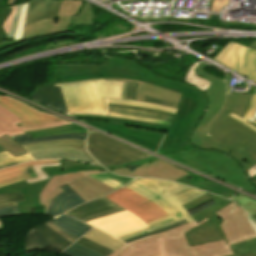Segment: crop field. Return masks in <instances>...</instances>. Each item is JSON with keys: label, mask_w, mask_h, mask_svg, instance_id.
<instances>
[{"label": "crop field", "mask_w": 256, "mask_h": 256, "mask_svg": "<svg viewBox=\"0 0 256 256\" xmlns=\"http://www.w3.org/2000/svg\"><path fill=\"white\" fill-rule=\"evenodd\" d=\"M52 165H60V163H53V164H41V165H35L32 166V169L34 170L35 174L38 178L27 180V184L35 183L39 181H43L49 178V176L41 169L42 167L52 166Z\"/></svg>", "instance_id": "d23c7cc5"}, {"label": "crop field", "mask_w": 256, "mask_h": 256, "mask_svg": "<svg viewBox=\"0 0 256 256\" xmlns=\"http://www.w3.org/2000/svg\"><path fill=\"white\" fill-rule=\"evenodd\" d=\"M105 197L136 214L146 224L168 216L161 207L150 202L143 196L127 189L125 186Z\"/></svg>", "instance_id": "22f410ed"}, {"label": "crop field", "mask_w": 256, "mask_h": 256, "mask_svg": "<svg viewBox=\"0 0 256 256\" xmlns=\"http://www.w3.org/2000/svg\"><path fill=\"white\" fill-rule=\"evenodd\" d=\"M24 161H32V159L28 154L14 158L7 151L0 153V168L19 164Z\"/></svg>", "instance_id": "0bd39190"}, {"label": "crop field", "mask_w": 256, "mask_h": 256, "mask_svg": "<svg viewBox=\"0 0 256 256\" xmlns=\"http://www.w3.org/2000/svg\"><path fill=\"white\" fill-rule=\"evenodd\" d=\"M256 118V113L251 117V119L249 121H253Z\"/></svg>", "instance_id": "0f1d7ab4"}, {"label": "crop field", "mask_w": 256, "mask_h": 256, "mask_svg": "<svg viewBox=\"0 0 256 256\" xmlns=\"http://www.w3.org/2000/svg\"><path fill=\"white\" fill-rule=\"evenodd\" d=\"M190 174L195 176V177H197L199 180H196V181H194V182H192V183H190L188 185L194 186V187H198V188L205 186L204 183H203L204 181H206L205 179H203V178H201V177H199V176H197L195 174H192V173H190Z\"/></svg>", "instance_id": "9d1cf04e"}, {"label": "crop field", "mask_w": 256, "mask_h": 256, "mask_svg": "<svg viewBox=\"0 0 256 256\" xmlns=\"http://www.w3.org/2000/svg\"><path fill=\"white\" fill-rule=\"evenodd\" d=\"M91 177L99 181L105 182L115 187L116 189L134 179V178H125V177L116 176L112 173L91 175Z\"/></svg>", "instance_id": "120bbe31"}, {"label": "crop field", "mask_w": 256, "mask_h": 256, "mask_svg": "<svg viewBox=\"0 0 256 256\" xmlns=\"http://www.w3.org/2000/svg\"><path fill=\"white\" fill-rule=\"evenodd\" d=\"M125 186L155 202L170 216L148 224L147 229L118 237L122 240L152 232L184 219L188 222L194 221L182 205L207 193L179 183L156 179L137 178Z\"/></svg>", "instance_id": "f4fd0767"}, {"label": "crop field", "mask_w": 256, "mask_h": 256, "mask_svg": "<svg viewBox=\"0 0 256 256\" xmlns=\"http://www.w3.org/2000/svg\"><path fill=\"white\" fill-rule=\"evenodd\" d=\"M2 151H5V150L0 146V152H2Z\"/></svg>", "instance_id": "ae633e8c"}, {"label": "crop field", "mask_w": 256, "mask_h": 256, "mask_svg": "<svg viewBox=\"0 0 256 256\" xmlns=\"http://www.w3.org/2000/svg\"><path fill=\"white\" fill-rule=\"evenodd\" d=\"M23 148L33 159L62 158L98 164L87 154L85 142L82 141H55Z\"/></svg>", "instance_id": "d1516ede"}, {"label": "crop field", "mask_w": 256, "mask_h": 256, "mask_svg": "<svg viewBox=\"0 0 256 256\" xmlns=\"http://www.w3.org/2000/svg\"><path fill=\"white\" fill-rule=\"evenodd\" d=\"M110 171L113 173L122 174L126 176L151 177V178L166 179L170 181H174L188 174L186 171L176 166H173L169 163H166L162 160H159L153 163H148L132 172L128 168L114 169Z\"/></svg>", "instance_id": "bc2a9ffb"}, {"label": "crop field", "mask_w": 256, "mask_h": 256, "mask_svg": "<svg viewBox=\"0 0 256 256\" xmlns=\"http://www.w3.org/2000/svg\"><path fill=\"white\" fill-rule=\"evenodd\" d=\"M84 237L91 239L95 242H98L114 251H116L121 245L124 244L117 240L116 238L109 236L94 228L91 231H89L86 235H84Z\"/></svg>", "instance_id": "750c4746"}, {"label": "crop field", "mask_w": 256, "mask_h": 256, "mask_svg": "<svg viewBox=\"0 0 256 256\" xmlns=\"http://www.w3.org/2000/svg\"><path fill=\"white\" fill-rule=\"evenodd\" d=\"M50 179L27 185L25 181L0 188L1 193L23 192L25 202L17 203L20 208L45 205V214L56 194L63 191L59 186L68 183L73 190L85 201L104 196L116 189L92 179L87 175L107 173L99 166L61 160V166L42 168Z\"/></svg>", "instance_id": "34b2d1b8"}, {"label": "crop field", "mask_w": 256, "mask_h": 256, "mask_svg": "<svg viewBox=\"0 0 256 256\" xmlns=\"http://www.w3.org/2000/svg\"><path fill=\"white\" fill-rule=\"evenodd\" d=\"M70 243L45 223L28 231L24 239L25 252L32 250H45L49 245L63 251Z\"/></svg>", "instance_id": "733c2abd"}, {"label": "crop field", "mask_w": 256, "mask_h": 256, "mask_svg": "<svg viewBox=\"0 0 256 256\" xmlns=\"http://www.w3.org/2000/svg\"><path fill=\"white\" fill-rule=\"evenodd\" d=\"M185 223H187L186 220L181 221V222H178V223H175V224H173V225L167 226V227H165V228H162V229H160V230L154 231V232H152V233H149V234H146V235H143V236L131 238V239H129V240H126L125 242L128 243V242H130V241H134V240H137V239H139V238L148 237V236H150V235L157 234V233H160V232H162V231H167V230H170V229H172V228L178 227V226H180V225H182V224H185Z\"/></svg>", "instance_id": "1f2cbd36"}, {"label": "crop field", "mask_w": 256, "mask_h": 256, "mask_svg": "<svg viewBox=\"0 0 256 256\" xmlns=\"http://www.w3.org/2000/svg\"><path fill=\"white\" fill-rule=\"evenodd\" d=\"M214 60L256 82V50L228 43Z\"/></svg>", "instance_id": "cbeb9de0"}, {"label": "crop field", "mask_w": 256, "mask_h": 256, "mask_svg": "<svg viewBox=\"0 0 256 256\" xmlns=\"http://www.w3.org/2000/svg\"><path fill=\"white\" fill-rule=\"evenodd\" d=\"M86 149L102 165H115L151 156L91 130Z\"/></svg>", "instance_id": "28ad6ade"}, {"label": "crop field", "mask_w": 256, "mask_h": 256, "mask_svg": "<svg viewBox=\"0 0 256 256\" xmlns=\"http://www.w3.org/2000/svg\"><path fill=\"white\" fill-rule=\"evenodd\" d=\"M15 205H17V204H16V203L2 204V205H0V208H2V207H8V206H15Z\"/></svg>", "instance_id": "7b73153f"}, {"label": "crop field", "mask_w": 256, "mask_h": 256, "mask_svg": "<svg viewBox=\"0 0 256 256\" xmlns=\"http://www.w3.org/2000/svg\"><path fill=\"white\" fill-rule=\"evenodd\" d=\"M20 214L17 206L0 209V217Z\"/></svg>", "instance_id": "1d79db26"}, {"label": "crop field", "mask_w": 256, "mask_h": 256, "mask_svg": "<svg viewBox=\"0 0 256 256\" xmlns=\"http://www.w3.org/2000/svg\"><path fill=\"white\" fill-rule=\"evenodd\" d=\"M217 214L224 222L220 224L227 241L188 246L183 234L204 222H190L178 228L165 232L168 256H227L233 254L229 245L256 237L249 226L246 212L234 202L218 211Z\"/></svg>", "instance_id": "412701ff"}, {"label": "crop field", "mask_w": 256, "mask_h": 256, "mask_svg": "<svg viewBox=\"0 0 256 256\" xmlns=\"http://www.w3.org/2000/svg\"><path fill=\"white\" fill-rule=\"evenodd\" d=\"M51 222L76 240L92 228L64 214L51 220Z\"/></svg>", "instance_id": "ae1a2a85"}, {"label": "crop field", "mask_w": 256, "mask_h": 256, "mask_svg": "<svg viewBox=\"0 0 256 256\" xmlns=\"http://www.w3.org/2000/svg\"><path fill=\"white\" fill-rule=\"evenodd\" d=\"M28 3L29 2L23 3L22 6H21V10H20V14H19V18H18L16 31H15V35H14L13 40H17L21 37L22 31H23V28H24V24H25V18H26Z\"/></svg>", "instance_id": "b54c1fbb"}, {"label": "crop field", "mask_w": 256, "mask_h": 256, "mask_svg": "<svg viewBox=\"0 0 256 256\" xmlns=\"http://www.w3.org/2000/svg\"><path fill=\"white\" fill-rule=\"evenodd\" d=\"M32 97L36 101L43 102L64 113H68L59 87H55L54 85L38 87L36 92L32 94Z\"/></svg>", "instance_id": "730fd06b"}, {"label": "crop field", "mask_w": 256, "mask_h": 256, "mask_svg": "<svg viewBox=\"0 0 256 256\" xmlns=\"http://www.w3.org/2000/svg\"><path fill=\"white\" fill-rule=\"evenodd\" d=\"M96 78H131L182 93L177 113L157 153L165 156L169 152L194 148L188 137L204 113L207 98L192 86L166 81L137 63L118 57H110L104 66L55 65L54 83L44 85Z\"/></svg>", "instance_id": "8a807250"}, {"label": "crop field", "mask_w": 256, "mask_h": 256, "mask_svg": "<svg viewBox=\"0 0 256 256\" xmlns=\"http://www.w3.org/2000/svg\"><path fill=\"white\" fill-rule=\"evenodd\" d=\"M126 83L103 79L57 84L60 86L69 112L106 114L105 97L123 99Z\"/></svg>", "instance_id": "e52e79f7"}, {"label": "crop field", "mask_w": 256, "mask_h": 256, "mask_svg": "<svg viewBox=\"0 0 256 256\" xmlns=\"http://www.w3.org/2000/svg\"><path fill=\"white\" fill-rule=\"evenodd\" d=\"M27 133H31L32 137L35 138V137H41V136H47V135H53V134H59V133H87V129L75 124H70V125H64L60 127L47 129V130L31 131Z\"/></svg>", "instance_id": "bd1437ed"}, {"label": "crop field", "mask_w": 256, "mask_h": 256, "mask_svg": "<svg viewBox=\"0 0 256 256\" xmlns=\"http://www.w3.org/2000/svg\"><path fill=\"white\" fill-rule=\"evenodd\" d=\"M205 185L206 186L201 188V190L212 192V193H215V194L227 197V198H230L234 194V192H232L226 188H223L213 182L207 181V182H205Z\"/></svg>", "instance_id": "c21b1889"}, {"label": "crop field", "mask_w": 256, "mask_h": 256, "mask_svg": "<svg viewBox=\"0 0 256 256\" xmlns=\"http://www.w3.org/2000/svg\"><path fill=\"white\" fill-rule=\"evenodd\" d=\"M63 254L67 256H104L94 250H91L77 242L70 246Z\"/></svg>", "instance_id": "5866460e"}, {"label": "crop field", "mask_w": 256, "mask_h": 256, "mask_svg": "<svg viewBox=\"0 0 256 256\" xmlns=\"http://www.w3.org/2000/svg\"><path fill=\"white\" fill-rule=\"evenodd\" d=\"M77 242H79V243H81V244H83V245H85L89 248H92V249H94V250H96V251H98V252H100V253H102L106 256H108V255H110L111 253L114 252V251L109 250V249H107V248H105V247H103V246H101V245H99V244H97V243H95L91 240H88L84 237L80 238Z\"/></svg>", "instance_id": "425ffa30"}, {"label": "crop field", "mask_w": 256, "mask_h": 256, "mask_svg": "<svg viewBox=\"0 0 256 256\" xmlns=\"http://www.w3.org/2000/svg\"><path fill=\"white\" fill-rule=\"evenodd\" d=\"M234 255L256 252V238L230 246Z\"/></svg>", "instance_id": "e1f06a70"}, {"label": "crop field", "mask_w": 256, "mask_h": 256, "mask_svg": "<svg viewBox=\"0 0 256 256\" xmlns=\"http://www.w3.org/2000/svg\"><path fill=\"white\" fill-rule=\"evenodd\" d=\"M49 226H51L53 229H55L57 232H59L61 235H63L65 238H67L69 241H71L72 243L75 242L76 240H74L73 238H71L70 236H68L67 234H65L64 232H62L60 229H58L56 226H54L50 221L46 222Z\"/></svg>", "instance_id": "447ae74e"}, {"label": "crop field", "mask_w": 256, "mask_h": 256, "mask_svg": "<svg viewBox=\"0 0 256 256\" xmlns=\"http://www.w3.org/2000/svg\"><path fill=\"white\" fill-rule=\"evenodd\" d=\"M87 223L115 237L147 228L140 218L128 211Z\"/></svg>", "instance_id": "d9b57169"}, {"label": "crop field", "mask_w": 256, "mask_h": 256, "mask_svg": "<svg viewBox=\"0 0 256 256\" xmlns=\"http://www.w3.org/2000/svg\"><path fill=\"white\" fill-rule=\"evenodd\" d=\"M23 200L22 193H12V194H1L0 195V204L1 203H10V202H20Z\"/></svg>", "instance_id": "25e5ab78"}, {"label": "crop field", "mask_w": 256, "mask_h": 256, "mask_svg": "<svg viewBox=\"0 0 256 256\" xmlns=\"http://www.w3.org/2000/svg\"><path fill=\"white\" fill-rule=\"evenodd\" d=\"M69 115H94V114H69ZM102 116V115H95ZM108 116L128 120L151 122L170 125L173 113L137 106H127L108 103Z\"/></svg>", "instance_id": "5142ce71"}, {"label": "crop field", "mask_w": 256, "mask_h": 256, "mask_svg": "<svg viewBox=\"0 0 256 256\" xmlns=\"http://www.w3.org/2000/svg\"><path fill=\"white\" fill-rule=\"evenodd\" d=\"M205 66L201 63L195 71L213 82L205 93L210 106L195 128L191 142L200 148L223 150L247 170L256 164V132L227 114L232 111L243 117L251 96L229 93L231 76L225 74L222 81L203 72Z\"/></svg>", "instance_id": "ac0d7876"}, {"label": "crop field", "mask_w": 256, "mask_h": 256, "mask_svg": "<svg viewBox=\"0 0 256 256\" xmlns=\"http://www.w3.org/2000/svg\"><path fill=\"white\" fill-rule=\"evenodd\" d=\"M108 102L112 103H120V104H128V105H137V106H145V107H150V108H155V109H160V110H165L169 112L175 113L177 109L173 108H166L154 104H147V103H139V102H132V101H125V100H118V99H107Z\"/></svg>", "instance_id": "5d738f31"}, {"label": "crop field", "mask_w": 256, "mask_h": 256, "mask_svg": "<svg viewBox=\"0 0 256 256\" xmlns=\"http://www.w3.org/2000/svg\"><path fill=\"white\" fill-rule=\"evenodd\" d=\"M61 188L64 191L56 195V197L53 199L47 213L48 215L58 216L65 213L69 209L84 203V201L72 190L68 184L61 186Z\"/></svg>", "instance_id": "a9b5d70f"}, {"label": "crop field", "mask_w": 256, "mask_h": 256, "mask_svg": "<svg viewBox=\"0 0 256 256\" xmlns=\"http://www.w3.org/2000/svg\"><path fill=\"white\" fill-rule=\"evenodd\" d=\"M84 1L63 0L60 12L55 19L42 20L24 28L21 39L3 42L2 36L13 37L20 5L4 7L5 0H0V51L21 44L30 39L64 32L69 26L71 17L79 12Z\"/></svg>", "instance_id": "dd49c442"}, {"label": "crop field", "mask_w": 256, "mask_h": 256, "mask_svg": "<svg viewBox=\"0 0 256 256\" xmlns=\"http://www.w3.org/2000/svg\"><path fill=\"white\" fill-rule=\"evenodd\" d=\"M138 84L127 83L124 99L135 100Z\"/></svg>", "instance_id": "dbb93151"}, {"label": "crop field", "mask_w": 256, "mask_h": 256, "mask_svg": "<svg viewBox=\"0 0 256 256\" xmlns=\"http://www.w3.org/2000/svg\"><path fill=\"white\" fill-rule=\"evenodd\" d=\"M235 202L240 204L247 212L251 214V216L256 215V201L240 195L238 197L232 198Z\"/></svg>", "instance_id": "c035e120"}, {"label": "crop field", "mask_w": 256, "mask_h": 256, "mask_svg": "<svg viewBox=\"0 0 256 256\" xmlns=\"http://www.w3.org/2000/svg\"><path fill=\"white\" fill-rule=\"evenodd\" d=\"M52 162H60V160H43V161H32L28 163L21 164L19 166L2 169L0 170V187L5 185L18 182L21 180H27L31 178H35L33 170L30 166L41 163H52Z\"/></svg>", "instance_id": "00972430"}, {"label": "crop field", "mask_w": 256, "mask_h": 256, "mask_svg": "<svg viewBox=\"0 0 256 256\" xmlns=\"http://www.w3.org/2000/svg\"><path fill=\"white\" fill-rule=\"evenodd\" d=\"M22 123V121L15 116L12 112L8 111L4 107L0 106V137L7 134L9 136L21 135L26 131L46 129L64 124H70L66 120L19 127L16 124Z\"/></svg>", "instance_id": "214f88e0"}, {"label": "crop field", "mask_w": 256, "mask_h": 256, "mask_svg": "<svg viewBox=\"0 0 256 256\" xmlns=\"http://www.w3.org/2000/svg\"><path fill=\"white\" fill-rule=\"evenodd\" d=\"M210 200L214 201L216 204L192 215L197 223L204 220L205 218H207L209 221L191 229L184 234L189 245L205 244L225 240L222 230L219 226L222 220L214 213L219 209L229 205V200L208 193L205 196L184 205V207L187 211H189Z\"/></svg>", "instance_id": "3316defc"}, {"label": "crop field", "mask_w": 256, "mask_h": 256, "mask_svg": "<svg viewBox=\"0 0 256 256\" xmlns=\"http://www.w3.org/2000/svg\"><path fill=\"white\" fill-rule=\"evenodd\" d=\"M166 157H168V158H170L172 160H175L177 162H180L182 164H185L187 166H190V167H192L194 169H197L199 171H202V172H204L206 174L209 173V171L207 169H205L204 167H202V166L196 164L195 162H193L192 160H190V159H188L186 157H183L181 155H178L176 153H170V154L166 155Z\"/></svg>", "instance_id": "03da06ac"}, {"label": "crop field", "mask_w": 256, "mask_h": 256, "mask_svg": "<svg viewBox=\"0 0 256 256\" xmlns=\"http://www.w3.org/2000/svg\"><path fill=\"white\" fill-rule=\"evenodd\" d=\"M156 160H159V159H157L155 157H151V158L139 160V161L132 162V163L119 164V165H115V166H104V167L107 168V169L130 167V166L139 165V164H146L148 162H153V161H156Z\"/></svg>", "instance_id": "73cf0c24"}, {"label": "crop field", "mask_w": 256, "mask_h": 256, "mask_svg": "<svg viewBox=\"0 0 256 256\" xmlns=\"http://www.w3.org/2000/svg\"><path fill=\"white\" fill-rule=\"evenodd\" d=\"M200 64V62L198 61L197 63H195L194 65H192L189 68V71L186 75L185 81L188 83L193 84L195 87L199 88L202 91H206L208 89V87L211 85V82L198 77L194 70L196 69V67Z\"/></svg>", "instance_id": "d32e631a"}, {"label": "crop field", "mask_w": 256, "mask_h": 256, "mask_svg": "<svg viewBox=\"0 0 256 256\" xmlns=\"http://www.w3.org/2000/svg\"><path fill=\"white\" fill-rule=\"evenodd\" d=\"M92 9L91 5L87 2H84V7L80 10V12L72 17L70 24L72 25H92Z\"/></svg>", "instance_id": "1d83c4d3"}, {"label": "crop field", "mask_w": 256, "mask_h": 256, "mask_svg": "<svg viewBox=\"0 0 256 256\" xmlns=\"http://www.w3.org/2000/svg\"><path fill=\"white\" fill-rule=\"evenodd\" d=\"M110 256H167L164 232L125 244Z\"/></svg>", "instance_id": "4a817a6b"}, {"label": "crop field", "mask_w": 256, "mask_h": 256, "mask_svg": "<svg viewBox=\"0 0 256 256\" xmlns=\"http://www.w3.org/2000/svg\"><path fill=\"white\" fill-rule=\"evenodd\" d=\"M254 123L256 124V121Z\"/></svg>", "instance_id": "d14b1444"}, {"label": "crop field", "mask_w": 256, "mask_h": 256, "mask_svg": "<svg viewBox=\"0 0 256 256\" xmlns=\"http://www.w3.org/2000/svg\"><path fill=\"white\" fill-rule=\"evenodd\" d=\"M255 111H256V88L254 89V94L252 96V100L249 105V108L243 118L231 112L228 115L232 116L233 118L237 119L238 121L242 122L243 124L247 125L251 129L256 131V127L247 122V120L250 119V117L255 113Z\"/></svg>", "instance_id": "b80d0937"}, {"label": "crop field", "mask_w": 256, "mask_h": 256, "mask_svg": "<svg viewBox=\"0 0 256 256\" xmlns=\"http://www.w3.org/2000/svg\"><path fill=\"white\" fill-rule=\"evenodd\" d=\"M249 47L256 49V41H253Z\"/></svg>", "instance_id": "78b8030e"}, {"label": "crop field", "mask_w": 256, "mask_h": 256, "mask_svg": "<svg viewBox=\"0 0 256 256\" xmlns=\"http://www.w3.org/2000/svg\"><path fill=\"white\" fill-rule=\"evenodd\" d=\"M248 219H249V224L250 226L255 230L256 232V222L249 216L247 215Z\"/></svg>", "instance_id": "db79e9e6"}, {"label": "crop field", "mask_w": 256, "mask_h": 256, "mask_svg": "<svg viewBox=\"0 0 256 256\" xmlns=\"http://www.w3.org/2000/svg\"><path fill=\"white\" fill-rule=\"evenodd\" d=\"M121 211H125V210L122 209L121 207H119V208L114 209V210H112L110 212H107V213H103V214H99V215H96V216L81 219V221L87 222V221L95 220V219H98V218L106 217V216H109V215H112L114 213L121 212Z\"/></svg>", "instance_id": "0fb4a251"}, {"label": "crop field", "mask_w": 256, "mask_h": 256, "mask_svg": "<svg viewBox=\"0 0 256 256\" xmlns=\"http://www.w3.org/2000/svg\"><path fill=\"white\" fill-rule=\"evenodd\" d=\"M109 200V199H108ZM105 197L88 202L84 205L78 206L75 209L67 212L66 214L71 215L77 219L96 215L99 213L110 211L114 208L119 207L118 205L108 201Z\"/></svg>", "instance_id": "eef30255"}, {"label": "crop field", "mask_w": 256, "mask_h": 256, "mask_svg": "<svg viewBox=\"0 0 256 256\" xmlns=\"http://www.w3.org/2000/svg\"><path fill=\"white\" fill-rule=\"evenodd\" d=\"M74 117L110 119V123L96 122V121H89V120H81V121L154 152L159 146L165 133H167V129L169 127L166 125L113 119L109 117H95V116H74Z\"/></svg>", "instance_id": "d8731c3e"}, {"label": "crop field", "mask_w": 256, "mask_h": 256, "mask_svg": "<svg viewBox=\"0 0 256 256\" xmlns=\"http://www.w3.org/2000/svg\"><path fill=\"white\" fill-rule=\"evenodd\" d=\"M177 153L186 156L207 168L212 172L208 175L224 180L256 194V188L251 185L243 173L241 166L222 152L203 151L195 148Z\"/></svg>", "instance_id": "5a996713"}, {"label": "crop field", "mask_w": 256, "mask_h": 256, "mask_svg": "<svg viewBox=\"0 0 256 256\" xmlns=\"http://www.w3.org/2000/svg\"><path fill=\"white\" fill-rule=\"evenodd\" d=\"M246 172H247V174H248L250 180H252L251 178L256 175V165H254L252 168H250V169H249L248 171H246Z\"/></svg>", "instance_id": "0765c3eb"}, {"label": "crop field", "mask_w": 256, "mask_h": 256, "mask_svg": "<svg viewBox=\"0 0 256 256\" xmlns=\"http://www.w3.org/2000/svg\"><path fill=\"white\" fill-rule=\"evenodd\" d=\"M231 256H233V255H231ZM242 256H256V253L248 254V255H242Z\"/></svg>", "instance_id": "e1d0b9f6"}, {"label": "crop field", "mask_w": 256, "mask_h": 256, "mask_svg": "<svg viewBox=\"0 0 256 256\" xmlns=\"http://www.w3.org/2000/svg\"><path fill=\"white\" fill-rule=\"evenodd\" d=\"M143 102L154 103V104H158V105H162V106H166V107H173V108L178 107L177 103L164 101V100H160V99H155V98H151V97H147V96L144 97Z\"/></svg>", "instance_id": "89e229c0"}, {"label": "crop field", "mask_w": 256, "mask_h": 256, "mask_svg": "<svg viewBox=\"0 0 256 256\" xmlns=\"http://www.w3.org/2000/svg\"><path fill=\"white\" fill-rule=\"evenodd\" d=\"M0 145L14 157L26 154V151L7 135L0 138Z\"/></svg>", "instance_id": "028f5c9d"}, {"label": "crop field", "mask_w": 256, "mask_h": 256, "mask_svg": "<svg viewBox=\"0 0 256 256\" xmlns=\"http://www.w3.org/2000/svg\"><path fill=\"white\" fill-rule=\"evenodd\" d=\"M87 134H60L32 139L31 135L13 136L12 138L21 146L35 143H42L55 140H82L86 141Z\"/></svg>", "instance_id": "d3111659"}, {"label": "crop field", "mask_w": 256, "mask_h": 256, "mask_svg": "<svg viewBox=\"0 0 256 256\" xmlns=\"http://www.w3.org/2000/svg\"><path fill=\"white\" fill-rule=\"evenodd\" d=\"M109 81L139 83L136 101L142 102L144 95L179 103L181 94L131 79H104Z\"/></svg>", "instance_id": "4177f3b9"}, {"label": "crop field", "mask_w": 256, "mask_h": 256, "mask_svg": "<svg viewBox=\"0 0 256 256\" xmlns=\"http://www.w3.org/2000/svg\"><path fill=\"white\" fill-rule=\"evenodd\" d=\"M62 0H33L29 3L26 25L33 22L55 18L60 9Z\"/></svg>", "instance_id": "dafd665d"}, {"label": "crop field", "mask_w": 256, "mask_h": 256, "mask_svg": "<svg viewBox=\"0 0 256 256\" xmlns=\"http://www.w3.org/2000/svg\"><path fill=\"white\" fill-rule=\"evenodd\" d=\"M0 105L12 111L24 122L22 124H18L19 126L61 120L51 115L37 112L18 101L2 96H0Z\"/></svg>", "instance_id": "92a150f3"}]
</instances>
